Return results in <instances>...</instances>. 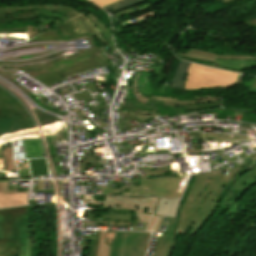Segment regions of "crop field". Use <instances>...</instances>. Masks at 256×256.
Here are the masks:
<instances>
[{"label":"crop field","mask_w":256,"mask_h":256,"mask_svg":"<svg viewBox=\"0 0 256 256\" xmlns=\"http://www.w3.org/2000/svg\"><path fill=\"white\" fill-rule=\"evenodd\" d=\"M239 170H230L228 176L222 175L223 171L196 176L186 201L180 208V221L175 236L179 233H197L214 212L213 206L227 182Z\"/></svg>","instance_id":"8a807250"},{"label":"crop field","mask_w":256,"mask_h":256,"mask_svg":"<svg viewBox=\"0 0 256 256\" xmlns=\"http://www.w3.org/2000/svg\"><path fill=\"white\" fill-rule=\"evenodd\" d=\"M39 8L67 13L57 22L70 36L85 34H90L92 37L97 36L104 44H107L114 50V48L99 34L101 31L95 24H93L79 10L65 5L2 7L0 8V22L37 18Z\"/></svg>","instance_id":"ac0d7876"},{"label":"crop field","mask_w":256,"mask_h":256,"mask_svg":"<svg viewBox=\"0 0 256 256\" xmlns=\"http://www.w3.org/2000/svg\"><path fill=\"white\" fill-rule=\"evenodd\" d=\"M144 169L146 177H141L140 186L123 187L120 190H114V193L132 196H156L168 198H180L185 187L179 186L181 178L170 173L168 167L162 168H139Z\"/></svg>","instance_id":"34b2d1b8"},{"label":"crop field","mask_w":256,"mask_h":256,"mask_svg":"<svg viewBox=\"0 0 256 256\" xmlns=\"http://www.w3.org/2000/svg\"><path fill=\"white\" fill-rule=\"evenodd\" d=\"M239 74L191 64L184 89L228 88L235 85Z\"/></svg>","instance_id":"412701ff"},{"label":"crop field","mask_w":256,"mask_h":256,"mask_svg":"<svg viewBox=\"0 0 256 256\" xmlns=\"http://www.w3.org/2000/svg\"><path fill=\"white\" fill-rule=\"evenodd\" d=\"M256 184V168L240 170L227 184L221 193L216 205L222 207L221 211L230 209L227 217L235 219L240 205L236 201L240 196L247 191L250 187ZM223 213V212H222ZM218 214H221L219 212Z\"/></svg>","instance_id":"f4fd0767"},{"label":"crop field","mask_w":256,"mask_h":256,"mask_svg":"<svg viewBox=\"0 0 256 256\" xmlns=\"http://www.w3.org/2000/svg\"><path fill=\"white\" fill-rule=\"evenodd\" d=\"M84 199L92 200L91 203L113 204V205H130L140 206L136 213L140 221L148 222L146 231L156 232L161 217L154 216L156 205L159 201L157 198H128V197H106L104 202H95L92 196H85Z\"/></svg>","instance_id":"dd49c442"},{"label":"crop field","mask_w":256,"mask_h":256,"mask_svg":"<svg viewBox=\"0 0 256 256\" xmlns=\"http://www.w3.org/2000/svg\"><path fill=\"white\" fill-rule=\"evenodd\" d=\"M151 233L117 232L107 256H145Z\"/></svg>","instance_id":"e52e79f7"},{"label":"crop field","mask_w":256,"mask_h":256,"mask_svg":"<svg viewBox=\"0 0 256 256\" xmlns=\"http://www.w3.org/2000/svg\"><path fill=\"white\" fill-rule=\"evenodd\" d=\"M98 48L94 47V52L90 54L89 58L77 65L71 66L68 69L65 70H59V71H54V72H47V74H28L34 79L38 80L44 85H50L59 81L64 80L63 78L69 75L70 73H79V72H84L87 69H90L92 67H101V66H106V67H111L110 65L107 64L106 61L101 59L99 56L96 55L98 52Z\"/></svg>","instance_id":"d8731c3e"},{"label":"crop field","mask_w":256,"mask_h":256,"mask_svg":"<svg viewBox=\"0 0 256 256\" xmlns=\"http://www.w3.org/2000/svg\"><path fill=\"white\" fill-rule=\"evenodd\" d=\"M15 221H29L28 206L0 210V241L18 240Z\"/></svg>","instance_id":"5a996713"},{"label":"crop field","mask_w":256,"mask_h":256,"mask_svg":"<svg viewBox=\"0 0 256 256\" xmlns=\"http://www.w3.org/2000/svg\"><path fill=\"white\" fill-rule=\"evenodd\" d=\"M176 56L185 60L198 62L211 66L214 59H256V56H220L209 52L192 49L184 54L176 53Z\"/></svg>","instance_id":"3316defc"},{"label":"crop field","mask_w":256,"mask_h":256,"mask_svg":"<svg viewBox=\"0 0 256 256\" xmlns=\"http://www.w3.org/2000/svg\"><path fill=\"white\" fill-rule=\"evenodd\" d=\"M18 114L20 118L29 117L23 106L9 93L0 91V117Z\"/></svg>","instance_id":"28ad6ade"},{"label":"crop field","mask_w":256,"mask_h":256,"mask_svg":"<svg viewBox=\"0 0 256 256\" xmlns=\"http://www.w3.org/2000/svg\"><path fill=\"white\" fill-rule=\"evenodd\" d=\"M19 238V256H32L29 222H16Z\"/></svg>","instance_id":"d1516ede"},{"label":"crop field","mask_w":256,"mask_h":256,"mask_svg":"<svg viewBox=\"0 0 256 256\" xmlns=\"http://www.w3.org/2000/svg\"><path fill=\"white\" fill-rule=\"evenodd\" d=\"M35 126L31 117L20 119L18 115L0 118V134L21 128Z\"/></svg>","instance_id":"22f410ed"},{"label":"crop field","mask_w":256,"mask_h":256,"mask_svg":"<svg viewBox=\"0 0 256 256\" xmlns=\"http://www.w3.org/2000/svg\"><path fill=\"white\" fill-rule=\"evenodd\" d=\"M189 65H190V62H186L183 60L179 61L178 66L173 75L171 88H179V89L184 88V79H185V75L187 73Z\"/></svg>","instance_id":"cbeb9de0"},{"label":"crop field","mask_w":256,"mask_h":256,"mask_svg":"<svg viewBox=\"0 0 256 256\" xmlns=\"http://www.w3.org/2000/svg\"><path fill=\"white\" fill-rule=\"evenodd\" d=\"M178 202L179 200L160 199L155 211V215H166L173 217L177 210Z\"/></svg>","instance_id":"5142ce71"},{"label":"crop field","mask_w":256,"mask_h":256,"mask_svg":"<svg viewBox=\"0 0 256 256\" xmlns=\"http://www.w3.org/2000/svg\"><path fill=\"white\" fill-rule=\"evenodd\" d=\"M27 205V194L0 195V208Z\"/></svg>","instance_id":"d9b57169"},{"label":"crop field","mask_w":256,"mask_h":256,"mask_svg":"<svg viewBox=\"0 0 256 256\" xmlns=\"http://www.w3.org/2000/svg\"><path fill=\"white\" fill-rule=\"evenodd\" d=\"M176 237L163 235L160 238L155 256H170L173 247L176 245Z\"/></svg>","instance_id":"733c2abd"},{"label":"crop field","mask_w":256,"mask_h":256,"mask_svg":"<svg viewBox=\"0 0 256 256\" xmlns=\"http://www.w3.org/2000/svg\"><path fill=\"white\" fill-rule=\"evenodd\" d=\"M18 255V241L0 242V256Z\"/></svg>","instance_id":"4a817a6b"},{"label":"crop field","mask_w":256,"mask_h":256,"mask_svg":"<svg viewBox=\"0 0 256 256\" xmlns=\"http://www.w3.org/2000/svg\"><path fill=\"white\" fill-rule=\"evenodd\" d=\"M86 16L102 30L101 35L113 46L110 30L106 28L92 13L86 14Z\"/></svg>","instance_id":"bc2a9ffb"},{"label":"crop field","mask_w":256,"mask_h":256,"mask_svg":"<svg viewBox=\"0 0 256 256\" xmlns=\"http://www.w3.org/2000/svg\"><path fill=\"white\" fill-rule=\"evenodd\" d=\"M106 234H107V231H101L99 248H98V256H106V248H107V245H105Z\"/></svg>","instance_id":"214f88e0"},{"label":"crop field","mask_w":256,"mask_h":256,"mask_svg":"<svg viewBox=\"0 0 256 256\" xmlns=\"http://www.w3.org/2000/svg\"><path fill=\"white\" fill-rule=\"evenodd\" d=\"M145 1H147V0H122V1L118 2L114 11H117V10H120V9H123L126 7H130V6L145 2Z\"/></svg>","instance_id":"92a150f3"},{"label":"crop field","mask_w":256,"mask_h":256,"mask_svg":"<svg viewBox=\"0 0 256 256\" xmlns=\"http://www.w3.org/2000/svg\"><path fill=\"white\" fill-rule=\"evenodd\" d=\"M28 191H9V181H0L1 194L27 193Z\"/></svg>","instance_id":"dafd665d"},{"label":"crop field","mask_w":256,"mask_h":256,"mask_svg":"<svg viewBox=\"0 0 256 256\" xmlns=\"http://www.w3.org/2000/svg\"><path fill=\"white\" fill-rule=\"evenodd\" d=\"M99 234H100V231H98L97 233L96 240H91L88 256H97Z\"/></svg>","instance_id":"00972430"},{"label":"crop field","mask_w":256,"mask_h":256,"mask_svg":"<svg viewBox=\"0 0 256 256\" xmlns=\"http://www.w3.org/2000/svg\"><path fill=\"white\" fill-rule=\"evenodd\" d=\"M164 220L171 222L167 234L174 235L175 232H176V229H177V225H178V221H179V220H178V219H174V218H168V217H165Z\"/></svg>","instance_id":"a9b5d70f"},{"label":"crop field","mask_w":256,"mask_h":256,"mask_svg":"<svg viewBox=\"0 0 256 256\" xmlns=\"http://www.w3.org/2000/svg\"><path fill=\"white\" fill-rule=\"evenodd\" d=\"M37 115H38L40 122H42V124L59 120V119L50 117L48 115L42 114L40 112H38Z\"/></svg>","instance_id":"4177f3b9"},{"label":"crop field","mask_w":256,"mask_h":256,"mask_svg":"<svg viewBox=\"0 0 256 256\" xmlns=\"http://www.w3.org/2000/svg\"><path fill=\"white\" fill-rule=\"evenodd\" d=\"M81 93L82 94H79V93L78 94H74V97H75L76 101H78V100H80L82 98H84L85 102L92 100V98H91L90 94L88 93V91H84V92H81Z\"/></svg>","instance_id":"730fd06b"},{"label":"crop field","mask_w":256,"mask_h":256,"mask_svg":"<svg viewBox=\"0 0 256 256\" xmlns=\"http://www.w3.org/2000/svg\"><path fill=\"white\" fill-rule=\"evenodd\" d=\"M91 2L95 3L96 5L100 6L101 8L106 6V5H109L113 2H116L118 0H90Z\"/></svg>","instance_id":"eef30255"},{"label":"crop field","mask_w":256,"mask_h":256,"mask_svg":"<svg viewBox=\"0 0 256 256\" xmlns=\"http://www.w3.org/2000/svg\"><path fill=\"white\" fill-rule=\"evenodd\" d=\"M85 87H86V88L90 87L91 90H92V92L98 91V88L96 87L95 83H93V84H87V85H85Z\"/></svg>","instance_id":"ae1a2a85"},{"label":"crop field","mask_w":256,"mask_h":256,"mask_svg":"<svg viewBox=\"0 0 256 256\" xmlns=\"http://www.w3.org/2000/svg\"><path fill=\"white\" fill-rule=\"evenodd\" d=\"M249 26H256V19L250 20L248 22H245Z\"/></svg>","instance_id":"d3111659"},{"label":"crop field","mask_w":256,"mask_h":256,"mask_svg":"<svg viewBox=\"0 0 256 256\" xmlns=\"http://www.w3.org/2000/svg\"><path fill=\"white\" fill-rule=\"evenodd\" d=\"M91 108L96 112V111H99L100 109H104L107 107H106V105H100L99 107H96V109L94 108V106H91Z\"/></svg>","instance_id":"750c4746"},{"label":"crop field","mask_w":256,"mask_h":256,"mask_svg":"<svg viewBox=\"0 0 256 256\" xmlns=\"http://www.w3.org/2000/svg\"><path fill=\"white\" fill-rule=\"evenodd\" d=\"M115 4H116V3H113V4H111V5H109V6H106V7L102 8V9H104V10H106V11L112 10V9L114 8Z\"/></svg>","instance_id":"bd1437ed"},{"label":"crop field","mask_w":256,"mask_h":256,"mask_svg":"<svg viewBox=\"0 0 256 256\" xmlns=\"http://www.w3.org/2000/svg\"><path fill=\"white\" fill-rule=\"evenodd\" d=\"M43 180L39 181L38 190H42Z\"/></svg>","instance_id":"1d83c4d3"},{"label":"crop field","mask_w":256,"mask_h":256,"mask_svg":"<svg viewBox=\"0 0 256 256\" xmlns=\"http://www.w3.org/2000/svg\"><path fill=\"white\" fill-rule=\"evenodd\" d=\"M0 178H6V174H0Z\"/></svg>","instance_id":"120bbe31"},{"label":"crop field","mask_w":256,"mask_h":256,"mask_svg":"<svg viewBox=\"0 0 256 256\" xmlns=\"http://www.w3.org/2000/svg\"><path fill=\"white\" fill-rule=\"evenodd\" d=\"M0 90H2V89L0 88Z\"/></svg>","instance_id":"d32e631a"}]
</instances>
